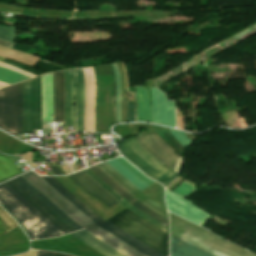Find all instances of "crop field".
Listing matches in <instances>:
<instances>
[{
    "label": "crop field",
    "instance_id": "4177f3b9",
    "mask_svg": "<svg viewBox=\"0 0 256 256\" xmlns=\"http://www.w3.org/2000/svg\"><path fill=\"white\" fill-rule=\"evenodd\" d=\"M15 32H16L15 28L0 25V38L1 39H5V40L14 42Z\"/></svg>",
    "mask_w": 256,
    "mask_h": 256
},
{
    "label": "crop field",
    "instance_id": "d8731c3e",
    "mask_svg": "<svg viewBox=\"0 0 256 256\" xmlns=\"http://www.w3.org/2000/svg\"><path fill=\"white\" fill-rule=\"evenodd\" d=\"M122 154L151 179L167 187L176 177L177 173L169 170L149 153H147L134 137L124 139L119 143Z\"/></svg>",
    "mask_w": 256,
    "mask_h": 256
},
{
    "label": "crop field",
    "instance_id": "1d83c4d3",
    "mask_svg": "<svg viewBox=\"0 0 256 256\" xmlns=\"http://www.w3.org/2000/svg\"><path fill=\"white\" fill-rule=\"evenodd\" d=\"M49 168L52 170V172L55 175H61L60 171L58 170V168L56 166H49Z\"/></svg>",
    "mask_w": 256,
    "mask_h": 256
},
{
    "label": "crop field",
    "instance_id": "5142ce71",
    "mask_svg": "<svg viewBox=\"0 0 256 256\" xmlns=\"http://www.w3.org/2000/svg\"><path fill=\"white\" fill-rule=\"evenodd\" d=\"M69 177L84 191L88 192L90 195L99 198L109 207L119 203L111 195H109L105 190H103L99 185H97L92 179H90L82 171L69 175Z\"/></svg>",
    "mask_w": 256,
    "mask_h": 256
},
{
    "label": "crop field",
    "instance_id": "733c2abd",
    "mask_svg": "<svg viewBox=\"0 0 256 256\" xmlns=\"http://www.w3.org/2000/svg\"><path fill=\"white\" fill-rule=\"evenodd\" d=\"M170 256H213L171 235Z\"/></svg>",
    "mask_w": 256,
    "mask_h": 256
},
{
    "label": "crop field",
    "instance_id": "ae1a2a85",
    "mask_svg": "<svg viewBox=\"0 0 256 256\" xmlns=\"http://www.w3.org/2000/svg\"><path fill=\"white\" fill-rule=\"evenodd\" d=\"M135 121L134 103L127 102V122Z\"/></svg>",
    "mask_w": 256,
    "mask_h": 256
},
{
    "label": "crop field",
    "instance_id": "5866460e",
    "mask_svg": "<svg viewBox=\"0 0 256 256\" xmlns=\"http://www.w3.org/2000/svg\"><path fill=\"white\" fill-rule=\"evenodd\" d=\"M54 256H68V255L54 253Z\"/></svg>",
    "mask_w": 256,
    "mask_h": 256
},
{
    "label": "crop field",
    "instance_id": "dafd665d",
    "mask_svg": "<svg viewBox=\"0 0 256 256\" xmlns=\"http://www.w3.org/2000/svg\"><path fill=\"white\" fill-rule=\"evenodd\" d=\"M18 224L0 207V235L10 231Z\"/></svg>",
    "mask_w": 256,
    "mask_h": 256
},
{
    "label": "crop field",
    "instance_id": "22f410ed",
    "mask_svg": "<svg viewBox=\"0 0 256 256\" xmlns=\"http://www.w3.org/2000/svg\"><path fill=\"white\" fill-rule=\"evenodd\" d=\"M153 122L175 127L174 102H166V95L151 87Z\"/></svg>",
    "mask_w": 256,
    "mask_h": 256
},
{
    "label": "crop field",
    "instance_id": "f4fd0767",
    "mask_svg": "<svg viewBox=\"0 0 256 256\" xmlns=\"http://www.w3.org/2000/svg\"><path fill=\"white\" fill-rule=\"evenodd\" d=\"M171 234L215 256H256L171 213Z\"/></svg>",
    "mask_w": 256,
    "mask_h": 256
},
{
    "label": "crop field",
    "instance_id": "d9b57169",
    "mask_svg": "<svg viewBox=\"0 0 256 256\" xmlns=\"http://www.w3.org/2000/svg\"><path fill=\"white\" fill-rule=\"evenodd\" d=\"M70 235L83 242L84 244L88 245L89 247L93 248L94 250L98 251L99 253L103 254L104 256H124L120 252L116 251L115 249L111 248L110 246L95 238L91 234L87 233L85 230Z\"/></svg>",
    "mask_w": 256,
    "mask_h": 256
},
{
    "label": "crop field",
    "instance_id": "28ad6ade",
    "mask_svg": "<svg viewBox=\"0 0 256 256\" xmlns=\"http://www.w3.org/2000/svg\"><path fill=\"white\" fill-rule=\"evenodd\" d=\"M136 139L154 158L169 169L174 170L179 155L164 144L156 132Z\"/></svg>",
    "mask_w": 256,
    "mask_h": 256
},
{
    "label": "crop field",
    "instance_id": "00972430",
    "mask_svg": "<svg viewBox=\"0 0 256 256\" xmlns=\"http://www.w3.org/2000/svg\"><path fill=\"white\" fill-rule=\"evenodd\" d=\"M115 80H116V116H117V123L121 122V115H120V74L118 71L117 64H112Z\"/></svg>",
    "mask_w": 256,
    "mask_h": 256
},
{
    "label": "crop field",
    "instance_id": "028f5c9d",
    "mask_svg": "<svg viewBox=\"0 0 256 256\" xmlns=\"http://www.w3.org/2000/svg\"><path fill=\"white\" fill-rule=\"evenodd\" d=\"M3 60H4V58H1V57H0V61H3Z\"/></svg>",
    "mask_w": 256,
    "mask_h": 256
},
{
    "label": "crop field",
    "instance_id": "d3111659",
    "mask_svg": "<svg viewBox=\"0 0 256 256\" xmlns=\"http://www.w3.org/2000/svg\"><path fill=\"white\" fill-rule=\"evenodd\" d=\"M0 66H1V67H5V68H9V69H12V70H15V71H17V72H19V73H22V74H24V75H26V76H29V77H31V78H33V77L36 76V75H34V74H31V73H29V72H26V71H24V70H21V69H19V68L13 67V66H11V65H8V64L2 63V62H0Z\"/></svg>",
    "mask_w": 256,
    "mask_h": 256
},
{
    "label": "crop field",
    "instance_id": "ac0d7876",
    "mask_svg": "<svg viewBox=\"0 0 256 256\" xmlns=\"http://www.w3.org/2000/svg\"><path fill=\"white\" fill-rule=\"evenodd\" d=\"M18 91L22 134L21 84L18 85ZM22 109L23 133H34V129L42 130L41 76L22 83ZM0 128L13 135L19 134L17 85L0 90Z\"/></svg>",
    "mask_w": 256,
    "mask_h": 256
},
{
    "label": "crop field",
    "instance_id": "bd1437ed",
    "mask_svg": "<svg viewBox=\"0 0 256 256\" xmlns=\"http://www.w3.org/2000/svg\"><path fill=\"white\" fill-rule=\"evenodd\" d=\"M0 45L13 49L14 43L0 40Z\"/></svg>",
    "mask_w": 256,
    "mask_h": 256
},
{
    "label": "crop field",
    "instance_id": "750c4746",
    "mask_svg": "<svg viewBox=\"0 0 256 256\" xmlns=\"http://www.w3.org/2000/svg\"><path fill=\"white\" fill-rule=\"evenodd\" d=\"M16 256H37V251L35 250H30L24 254H21V255H16Z\"/></svg>",
    "mask_w": 256,
    "mask_h": 256
},
{
    "label": "crop field",
    "instance_id": "d32e631a",
    "mask_svg": "<svg viewBox=\"0 0 256 256\" xmlns=\"http://www.w3.org/2000/svg\"><path fill=\"white\" fill-rule=\"evenodd\" d=\"M27 163H28L32 168L36 167V164H35L32 160L27 161Z\"/></svg>",
    "mask_w": 256,
    "mask_h": 256
},
{
    "label": "crop field",
    "instance_id": "a9b5d70f",
    "mask_svg": "<svg viewBox=\"0 0 256 256\" xmlns=\"http://www.w3.org/2000/svg\"><path fill=\"white\" fill-rule=\"evenodd\" d=\"M117 160L120 161L124 166H126L131 172H133L138 178H140L148 186L154 182V181L146 178L143 174H141L136 168H134L131 164H129L123 158H118Z\"/></svg>",
    "mask_w": 256,
    "mask_h": 256
},
{
    "label": "crop field",
    "instance_id": "120bbe31",
    "mask_svg": "<svg viewBox=\"0 0 256 256\" xmlns=\"http://www.w3.org/2000/svg\"><path fill=\"white\" fill-rule=\"evenodd\" d=\"M38 256H53V253L38 251Z\"/></svg>",
    "mask_w": 256,
    "mask_h": 256
},
{
    "label": "crop field",
    "instance_id": "dd49c442",
    "mask_svg": "<svg viewBox=\"0 0 256 256\" xmlns=\"http://www.w3.org/2000/svg\"><path fill=\"white\" fill-rule=\"evenodd\" d=\"M12 190L51 221L65 234L82 229L75 221L53 204L22 176L7 183Z\"/></svg>",
    "mask_w": 256,
    "mask_h": 256
},
{
    "label": "crop field",
    "instance_id": "730fd06b",
    "mask_svg": "<svg viewBox=\"0 0 256 256\" xmlns=\"http://www.w3.org/2000/svg\"><path fill=\"white\" fill-rule=\"evenodd\" d=\"M195 188L191 185H189L186 181L180 184L176 189L173 190V192L181 195L186 196L192 192H194Z\"/></svg>",
    "mask_w": 256,
    "mask_h": 256
},
{
    "label": "crop field",
    "instance_id": "34b2d1b8",
    "mask_svg": "<svg viewBox=\"0 0 256 256\" xmlns=\"http://www.w3.org/2000/svg\"><path fill=\"white\" fill-rule=\"evenodd\" d=\"M22 176L26 178L31 184H33L38 190H40L45 196H47L52 202H54L58 207H60L65 213H67L72 219H74L79 225H81L87 232L91 233L95 237L99 238L126 256H144L114 236L97 227L34 172H30Z\"/></svg>",
    "mask_w": 256,
    "mask_h": 256
},
{
    "label": "crop field",
    "instance_id": "e52e79f7",
    "mask_svg": "<svg viewBox=\"0 0 256 256\" xmlns=\"http://www.w3.org/2000/svg\"><path fill=\"white\" fill-rule=\"evenodd\" d=\"M98 167V166H97ZM93 166L89 168L93 171L97 176H99L103 181H105L109 186H111L115 191H117L121 196H123L127 201H129L132 205L149 215L151 218L168 228V219L161 216L157 212L153 211L149 207L145 206L138 200H136L132 195H130L126 190H124L121 186H119L115 181H113L110 177H108L105 173H103L99 168ZM89 169L83 170L90 178H92L96 183H98L103 189H105L109 194H111L115 199H117L122 205H124L127 209L146 219L150 223L159 227L160 229L168 232V229L151 219L149 216L132 206L129 202H127L123 197H121L117 192H115L111 187H109L105 182H103L99 177H97L93 172Z\"/></svg>",
    "mask_w": 256,
    "mask_h": 256
},
{
    "label": "crop field",
    "instance_id": "8a807250",
    "mask_svg": "<svg viewBox=\"0 0 256 256\" xmlns=\"http://www.w3.org/2000/svg\"><path fill=\"white\" fill-rule=\"evenodd\" d=\"M49 185H51L56 191H58L63 197H65L71 204H73L78 210H80L85 216H87L92 222L97 226L101 227L105 231L114 235L118 239L127 243L131 247L135 248L139 252L146 256H168V246H169V234L150 224L146 220L137 216L129 210H124L119 214L112 217L110 222H104L100 219L94 212H92L87 206H85L80 200H78L74 195H72L67 189H65L61 184H59L52 177H41Z\"/></svg>",
    "mask_w": 256,
    "mask_h": 256
},
{
    "label": "crop field",
    "instance_id": "e1f06a70",
    "mask_svg": "<svg viewBox=\"0 0 256 256\" xmlns=\"http://www.w3.org/2000/svg\"><path fill=\"white\" fill-rule=\"evenodd\" d=\"M3 87H0V89H2Z\"/></svg>",
    "mask_w": 256,
    "mask_h": 256
},
{
    "label": "crop field",
    "instance_id": "214f88e0",
    "mask_svg": "<svg viewBox=\"0 0 256 256\" xmlns=\"http://www.w3.org/2000/svg\"><path fill=\"white\" fill-rule=\"evenodd\" d=\"M2 155H0V182L22 173L7 157Z\"/></svg>",
    "mask_w": 256,
    "mask_h": 256
},
{
    "label": "crop field",
    "instance_id": "3316defc",
    "mask_svg": "<svg viewBox=\"0 0 256 256\" xmlns=\"http://www.w3.org/2000/svg\"><path fill=\"white\" fill-rule=\"evenodd\" d=\"M43 120L53 121V73L42 76ZM65 84L62 72L54 73V121H63Z\"/></svg>",
    "mask_w": 256,
    "mask_h": 256
},
{
    "label": "crop field",
    "instance_id": "d1516ede",
    "mask_svg": "<svg viewBox=\"0 0 256 256\" xmlns=\"http://www.w3.org/2000/svg\"><path fill=\"white\" fill-rule=\"evenodd\" d=\"M166 204L169 211L201 226L210 215L193 206L186 200L166 191Z\"/></svg>",
    "mask_w": 256,
    "mask_h": 256
},
{
    "label": "crop field",
    "instance_id": "eef30255",
    "mask_svg": "<svg viewBox=\"0 0 256 256\" xmlns=\"http://www.w3.org/2000/svg\"><path fill=\"white\" fill-rule=\"evenodd\" d=\"M173 136L184 146L188 147L191 144V140L183 133L179 131L170 130Z\"/></svg>",
    "mask_w": 256,
    "mask_h": 256
},
{
    "label": "crop field",
    "instance_id": "412701ff",
    "mask_svg": "<svg viewBox=\"0 0 256 256\" xmlns=\"http://www.w3.org/2000/svg\"><path fill=\"white\" fill-rule=\"evenodd\" d=\"M6 185H0V204L18 219L31 239L64 234Z\"/></svg>",
    "mask_w": 256,
    "mask_h": 256
},
{
    "label": "crop field",
    "instance_id": "5a996713",
    "mask_svg": "<svg viewBox=\"0 0 256 256\" xmlns=\"http://www.w3.org/2000/svg\"><path fill=\"white\" fill-rule=\"evenodd\" d=\"M66 84L64 126H73L74 80L76 83L75 132L83 131L84 81L81 69L64 71Z\"/></svg>",
    "mask_w": 256,
    "mask_h": 256
},
{
    "label": "crop field",
    "instance_id": "bc2a9ffb",
    "mask_svg": "<svg viewBox=\"0 0 256 256\" xmlns=\"http://www.w3.org/2000/svg\"><path fill=\"white\" fill-rule=\"evenodd\" d=\"M115 170H117L122 176H124L128 181H130L135 187L140 191L148 187L140 179H138L133 173H131L126 167H124L116 159L107 161Z\"/></svg>",
    "mask_w": 256,
    "mask_h": 256
},
{
    "label": "crop field",
    "instance_id": "4a817a6b",
    "mask_svg": "<svg viewBox=\"0 0 256 256\" xmlns=\"http://www.w3.org/2000/svg\"><path fill=\"white\" fill-rule=\"evenodd\" d=\"M137 94V121L152 122L151 108L147 92L142 87H135Z\"/></svg>",
    "mask_w": 256,
    "mask_h": 256
},
{
    "label": "crop field",
    "instance_id": "cbeb9de0",
    "mask_svg": "<svg viewBox=\"0 0 256 256\" xmlns=\"http://www.w3.org/2000/svg\"><path fill=\"white\" fill-rule=\"evenodd\" d=\"M97 166L103 172H105L108 176H110L113 180H115L119 185H121L124 189H126L129 193H131L135 198H137L139 201H141L142 203L154 209L161 215L168 218L166 208L162 207L161 205L147 198L144 194H142L138 189H136L131 183H129L124 177H122L117 171H115L106 162L99 164Z\"/></svg>",
    "mask_w": 256,
    "mask_h": 256
},
{
    "label": "crop field",
    "instance_id": "92a150f3",
    "mask_svg": "<svg viewBox=\"0 0 256 256\" xmlns=\"http://www.w3.org/2000/svg\"><path fill=\"white\" fill-rule=\"evenodd\" d=\"M30 79L12 70L0 67V81L12 85L14 83Z\"/></svg>",
    "mask_w": 256,
    "mask_h": 256
}]
</instances>
